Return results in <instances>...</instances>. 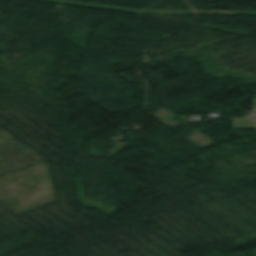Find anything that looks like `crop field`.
Returning a JSON list of instances; mask_svg holds the SVG:
<instances>
[{"label": "crop field", "instance_id": "8a807250", "mask_svg": "<svg viewBox=\"0 0 256 256\" xmlns=\"http://www.w3.org/2000/svg\"><path fill=\"white\" fill-rule=\"evenodd\" d=\"M234 128H256V120L251 119H243V120H235L233 119Z\"/></svg>", "mask_w": 256, "mask_h": 256}, {"label": "crop field", "instance_id": "ac0d7876", "mask_svg": "<svg viewBox=\"0 0 256 256\" xmlns=\"http://www.w3.org/2000/svg\"><path fill=\"white\" fill-rule=\"evenodd\" d=\"M255 110L249 115V118H256V98H254Z\"/></svg>", "mask_w": 256, "mask_h": 256}]
</instances>
